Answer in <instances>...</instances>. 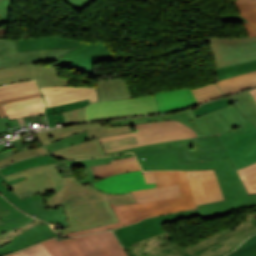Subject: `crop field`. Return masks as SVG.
<instances>
[{
    "instance_id": "8a807250",
    "label": "crop field",
    "mask_w": 256,
    "mask_h": 256,
    "mask_svg": "<svg viewBox=\"0 0 256 256\" xmlns=\"http://www.w3.org/2000/svg\"><path fill=\"white\" fill-rule=\"evenodd\" d=\"M143 170L215 169L225 200L199 205L198 209L161 215L113 230L131 256H223L256 233V214L182 249L163 225L199 215L208 219L226 212L256 205V194L248 195L230 159L180 164L178 151L136 156ZM144 158V160H142ZM136 243V245H135Z\"/></svg>"
},
{
    "instance_id": "ac0d7876",
    "label": "crop field",
    "mask_w": 256,
    "mask_h": 256,
    "mask_svg": "<svg viewBox=\"0 0 256 256\" xmlns=\"http://www.w3.org/2000/svg\"><path fill=\"white\" fill-rule=\"evenodd\" d=\"M57 165L60 163L35 166L4 178L6 181L22 176L27 179L9 185L20 198L37 193L43 196L55 190L56 195L46 197V207L56 208L58 204H64L70 227L55 229L61 234L118 222L108 201L116 205L135 202L130 192L107 194L89 184L83 186L75 176L63 178L55 167Z\"/></svg>"
},
{
    "instance_id": "34b2d1b8",
    "label": "crop field",
    "mask_w": 256,
    "mask_h": 256,
    "mask_svg": "<svg viewBox=\"0 0 256 256\" xmlns=\"http://www.w3.org/2000/svg\"><path fill=\"white\" fill-rule=\"evenodd\" d=\"M177 174L182 198L150 202L139 205L132 203L116 206L109 202L120 222L64 235L77 236L80 234L117 228L123 225L134 223L140 219L149 216L194 208L195 206L189 189L185 171H177Z\"/></svg>"
},
{
    "instance_id": "412701ff",
    "label": "crop field",
    "mask_w": 256,
    "mask_h": 256,
    "mask_svg": "<svg viewBox=\"0 0 256 256\" xmlns=\"http://www.w3.org/2000/svg\"><path fill=\"white\" fill-rule=\"evenodd\" d=\"M17 52L45 48H73L61 58L94 67L98 62L114 60L112 52L102 42L83 43L57 36L15 40Z\"/></svg>"
},
{
    "instance_id": "f4fd0767",
    "label": "crop field",
    "mask_w": 256,
    "mask_h": 256,
    "mask_svg": "<svg viewBox=\"0 0 256 256\" xmlns=\"http://www.w3.org/2000/svg\"><path fill=\"white\" fill-rule=\"evenodd\" d=\"M42 243L52 256H128L110 231Z\"/></svg>"
},
{
    "instance_id": "dd49c442",
    "label": "crop field",
    "mask_w": 256,
    "mask_h": 256,
    "mask_svg": "<svg viewBox=\"0 0 256 256\" xmlns=\"http://www.w3.org/2000/svg\"><path fill=\"white\" fill-rule=\"evenodd\" d=\"M84 130L87 131L90 139L99 138L106 135L121 134L134 131L132 125L109 127L108 122H103L95 124L73 125L68 127H62L59 129L35 133L42 147L15 153L7 158H4L0 160V167L8 165L22 158L38 154H49V151L45 148L46 145L66 135L77 133Z\"/></svg>"
},
{
    "instance_id": "e52e79f7",
    "label": "crop field",
    "mask_w": 256,
    "mask_h": 256,
    "mask_svg": "<svg viewBox=\"0 0 256 256\" xmlns=\"http://www.w3.org/2000/svg\"><path fill=\"white\" fill-rule=\"evenodd\" d=\"M133 126L135 132L106 136L100 138L99 141L102 142L106 140L136 135L139 143L107 150L105 152L137 147L150 143L179 140L196 136L195 132L192 129L175 120L136 124Z\"/></svg>"
},
{
    "instance_id": "d8731c3e",
    "label": "crop field",
    "mask_w": 256,
    "mask_h": 256,
    "mask_svg": "<svg viewBox=\"0 0 256 256\" xmlns=\"http://www.w3.org/2000/svg\"><path fill=\"white\" fill-rule=\"evenodd\" d=\"M153 96L96 102L86 108V121L157 114Z\"/></svg>"
},
{
    "instance_id": "5a996713",
    "label": "crop field",
    "mask_w": 256,
    "mask_h": 256,
    "mask_svg": "<svg viewBox=\"0 0 256 256\" xmlns=\"http://www.w3.org/2000/svg\"><path fill=\"white\" fill-rule=\"evenodd\" d=\"M205 41L210 44L216 68L256 59V37L206 38Z\"/></svg>"
},
{
    "instance_id": "3316defc",
    "label": "crop field",
    "mask_w": 256,
    "mask_h": 256,
    "mask_svg": "<svg viewBox=\"0 0 256 256\" xmlns=\"http://www.w3.org/2000/svg\"><path fill=\"white\" fill-rule=\"evenodd\" d=\"M218 135L219 134L217 133L216 135L195 137L193 138L192 145L164 148L155 147L133 152L135 155H139L151 152L179 150L181 163L229 158Z\"/></svg>"
},
{
    "instance_id": "28ad6ade",
    "label": "crop field",
    "mask_w": 256,
    "mask_h": 256,
    "mask_svg": "<svg viewBox=\"0 0 256 256\" xmlns=\"http://www.w3.org/2000/svg\"><path fill=\"white\" fill-rule=\"evenodd\" d=\"M236 170L256 162V128L250 123L220 136Z\"/></svg>"
},
{
    "instance_id": "d1516ede",
    "label": "crop field",
    "mask_w": 256,
    "mask_h": 256,
    "mask_svg": "<svg viewBox=\"0 0 256 256\" xmlns=\"http://www.w3.org/2000/svg\"><path fill=\"white\" fill-rule=\"evenodd\" d=\"M25 180L24 177L6 182L0 174V193L24 212L35 215L37 218L49 222L59 223L62 227L69 226L66 220L63 205H59L57 209L45 208V197L39 194L36 196L20 199L17 197L7 185Z\"/></svg>"
},
{
    "instance_id": "22f410ed",
    "label": "crop field",
    "mask_w": 256,
    "mask_h": 256,
    "mask_svg": "<svg viewBox=\"0 0 256 256\" xmlns=\"http://www.w3.org/2000/svg\"><path fill=\"white\" fill-rule=\"evenodd\" d=\"M55 236L48 224L34 220L0 235V256Z\"/></svg>"
},
{
    "instance_id": "cbeb9de0",
    "label": "crop field",
    "mask_w": 256,
    "mask_h": 256,
    "mask_svg": "<svg viewBox=\"0 0 256 256\" xmlns=\"http://www.w3.org/2000/svg\"><path fill=\"white\" fill-rule=\"evenodd\" d=\"M70 49H45L16 53L14 40L0 39V68L25 63L57 61Z\"/></svg>"
},
{
    "instance_id": "5142ce71",
    "label": "crop field",
    "mask_w": 256,
    "mask_h": 256,
    "mask_svg": "<svg viewBox=\"0 0 256 256\" xmlns=\"http://www.w3.org/2000/svg\"><path fill=\"white\" fill-rule=\"evenodd\" d=\"M134 156L132 153H125L121 155H115L105 158H97V159H86V160H62L63 163L66 166L74 165V166H84L88 176L84 177L80 181L83 185L96 181L89 166L107 163L109 160L117 159V158H124V157H131ZM62 161H56L53 156L49 155H42V156H36L28 159L21 160L17 163H14L8 167L0 168V172L3 174V176L10 174L12 172L22 170L28 167H32L35 165L40 164H46V163H53V162H62Z\"/></svg>"
},
{
    "instance_id": "d9b57169",
    "label": "crop field",
    "mask_w": 256,
    "mask_h": 256,
    "mask_svg": "<svg viewBox=\"0 0 256 256\" xmlns=\"http://www.w3.org/2000/svg\"><path fill=\"white\" fill-rule=\"evenodd\" d=\"M195 206L222 200L214 170L186 171Z\"/></svg>"
},
{
    "instance_id": "733c2abd",
    "label": "crop field",
    "mask_w": 256,
    "mask_h": 256,
    "mask_svg": "<svg viewBox=\"0 0 256 256\" xmlns=\"http://www.w3.org/2000/svg\"><path fill=\"white\" fill-rule=\"evenodd\" d=\"M47 108L65 103L89 99L90 103L97 101L96 87L60 86L40 88Z\"/></svg>"
},
{
    "instance_id": "4a817a6b",
    "label": "crop field",
    "mask_w": 256,
    "mask_h": 256,
    "mask_svg": "<svg viewBox=\"0 0 256 256\" xmlns=\"http://www.w3.org/2000/svg\"><path fill=\"white\" fill-rule=\"evenodd\" d=\"M91 185L107 193L122 194L132 190L154 187L156 183L146 184L141 171H132L105 177Z\"/></svg>"
},
{
    "instance_id": "bc2a9ffb",
    "label": "crop field",
    "mask_w": 256,
    "mask_h": 256,
    "mask_svg": "<svg viewBox=\"0 0 256 256\" xmlns=\"http://www.w3.org/2000/svg\"><path fill=\"white\" fill-rule=\"evenodd\" d=\"M155 98L161 113L197 105L189 88L158 92Z\"/></svg>"
},
{
    "instance_id": "214f88e0",
    "label": "crop field",
    "mask_w": 256,
    "mask_h": 256,
    "mask_svg": "<svg viewBox=\"0 0 256 256\" xmlns=\"http://www.w3.org/2000/svg\"><path fill=\"white\" fill-rule=\"evenodd\" d=\"M203 116L220 135L246 124L233 105Z\"/></svg>"
},
{
    "instance_id": "92a150f3",
    "label": "crop field",
    "mask_w": 256,
    "mask_h": 256,
    "mask_svg": "<svg viewBox=\"0 0 256 256\" xmlns=\"http://www.w3.org/2000/svg\"><path fill=\"white\" fill-rule=\"evenodd\" d=\"M41 95L35 81L0 87V117L6 116L1 104Z\"/></svg>"
},
{
    "instance_id": "dafd665d",
    "label": "crop field",
    "mask_w": 256,
    "mask_h": 256,
    "mask_svg": "<svg viewBox=\"0 0 256 256\" xmlns=\"http://www.w3.org/2000/svg\"><path fill=\"white\" fill-rule=\"evenodd\" d=\"M51 154L73 158H88L106 156L103 148L97 139L89 140L74 146L59 149Z\"/></svg>"
},
{
    "instance_id": "00972430",
    "label": "crop field",
    "mask_w": 256,
    "mask_h": 256,
    "mask_svg": "<svg viewBox=\"0 0 256 256\" xmlns=\"http://www.w3.org/2000/svg\"><path fill=\"white\" fill-rule=\"evenodd\" d=\"M98 101L131 98L124 78L97 82Z\"/></svg>"
},
{
    "instance_id": "a9b5d70f",
    "label": "crop field",
    "mask_w": 256,
    "mask_h": 256,
    "mask_svg": "<svg viewBox=\"0 0 256 256\" xmlns=\"http://www.w3.org/2000/svg\"><path fill=\"white\" fill-rule=\"evenodd\" d=\"M137 204L181 197L178 184L131 192Z\"/></svg>"
},
{
    "instance_id": "4177f3b9",
    "label": "crop field",
    "mask_w": 256,
    "mask_h": 256,
    "mask_svg": "<svg viewBox=\"0 0 256 256\" xmlns=\"http://www.w3.org/2000/svg\"><path fill=\"white\" fill-rule=\"evenodd\" d=\"M164 120L176 119L185 125L193 128L198 136L216 134L217 132L207 122V120L201 116L195 118L190 109L163 115Z\"/></svg>"
},
{
    "instance_id": "730fd06b",
    "label": "crop field",
    "mask_w": 256,
    "mask_h": 256,
    "mask_svg": "<svg viewBox=\"0 0 256 256\" xmlns=\"http://www.w3.org/2000/svg\"><path fill=\"white\" fill-rule=\"evenodd\" d=\"M95 177L103 178L119 172L141 170L135 157L113 160L111 163L92 166Z\"/></svg>"
},
{
    "instance_id": "eef30255",
    "label": "crop field",
    "mask_w": 256,
    "mask_h": 256,
    "mask_svg": "<svg viewBox=\"0 0 256 256\" xmlns=\"http://www.w3.org/2000/svg\"><path fill=\"white\" fill-rule=\"evenodd\" d=\"M223 96L256 86V71L239 75L216 83Z\"/></svg>"
},
{
    "instance_id": "ae1a2a85",
    "label": "crop field",
    "mask_w": 256,
    "mask_h": 256,
    "mask_svg": "<svg viewBox=\"0 0 256 256\" xmlns=\"http://www.w3.org/2000/svg\"><path fill=\"white\" fill-rule=\"evenodd\" d=\"M35 79V65L25 64L0 69V85Z\"/></svg>"
},
{
    "instance_id": "d3111659",
    "label": "crop field",
    "mask_w": 256,
    "mask_h": 256,
    "mask_svg": "<svg viewBox=\"0 0 256 256\" xmlns=\"http://www.w3.org/2000/svg\"><path fill=\"white\" fill-rule=\"evenodd\" d=\"M229 99L246 122H250L256 127V102L249 91L229 96ZM236 100L238 102L235 103Z\"/></svg>"
},
{
    "instance_id": "750c4746",
    "label": "crop field",
    "mask_w": 256,
    "mask_h": 256,
    "mask_svg": "<svg viewBox=\"0 0 256 256\" xmlns=\"http://www.w3.org/2000/svg\"><path fill=\"white\" fill-rule=\"evenodd\" d=\"M60 70L54 68V66L37 67L36 76L39 87L42 86H59L69 85V80L58 77Z\"/></svg>"
},
{
    "instance_id": "bd1437ed",
    "label": "crop field",
    "mask_w": 256,
    "mask_h": 256,
    "mask_svg": "<svg viewBox=\"0 0 256 256\" xmlns=\"http://www.w3.org/2000/svg\"><path fill=\"white\" fill-rule=\"evenodd\" d=\"M256 100V89L250 90ZM248 194L256 193V163L238 170Z\"/></svg>"
},
{
    "instance_id": "1d83c4d3",
    "label": "crop field",
    "mask_w": 256,
    "mask_h": 256,
    "mask_svg": "<svg viewBox=\"0 0 256 256\" xmlns=\"http://www.w3.org/2000/svg\"><path fill=\"white\" fill-rule=\"evenodd\" d=\"M254 70H256V60L239 65L216 69L215 71L218 76V79L222 80Z\"/></svg>"
},
{
    "instance_id": "120bbe31",
    "label": "crop field",
    "mask_w": 256,
    "mask_h": 256,
    "mask_svg": "<svg viewBox=\"0 0 256 256\" xmlns=\"http://www.w3.org/2000/svg\"><path fill=\"white\" fill-rule=\"evenodd\" d=\"M238 13L256 27V0H232Z\"/></svg>"
},
{
    "instance_id": "d32e631a",
    "label": "crop field",
    "mask_w": 256,
    "mask_h": 256,
    "mask_svg": "<svg viewBox=\"0 0 256 256\" xmlns=\"http://www.w3.org/2000/svg\"><path fill=\"white\" fill-rule=\"evenodd\" d=\"M87 104H89L88 100L81 101V102L70 103V104H65V105H61V106H57V107H52V108L46 109L45 110V115L47 117L49 126L50 127L55 126L54 119H53L51 113L56 112V116H57L59 122L61 121L62 125H64L65 123H64L62 111L70 110V109H74V108L84 107Z\"/></svg>"
},
{
    "instance_id": "5866460e",
    "label": "crop field",
    "mask_w": 256,
    "mask_h": 256,
    "mask_svg": "<svg viewBox=\"0 0 256 256\" xmlns=\"http://www.w3.org/2000/svg\"><path fill=\"white\" fill-rule=\"evenodd\" d=\"M191 91L194 94L198 104L215 99V98L222 97L215 83L207 86H203L200 88L192 89Z\"/></svg>"
},
{
    "instance_id": "028f5c9d",
    "label": "crop field",
    "mask_w": 256,
    "mask_h": 256,
    "mask_svg": "<svg viewBox=\"0 0 256 256\" xmlns=\"http://www.w3.org/2000/svg\"><path fill=\"white\" fill-rule=\"evenodd\" d=\"M86 140H89V137H88L86 131H84V132H80L77 134L69 135L67 137H64V138L56 141V142H53L47 146V149L51 152L56 149L74 145V144H77V143H80V142H83Z\"/></svg>"
},
{
    "instance_id": "e1f06a70",
    "label": "crop field",
    "mask_w": 256,
    "mask_h": 256,
    "mask_svg": "<svg viewBox=\"0 0 256 256\" xmlns=\"http://www.w3.org/2000/svg\"><path fill=\"white\" fill-rule=\"evenodd\" d=\"M256 253V234L249 237L240 247L227 256H250Z\"/></svg>"
},
{
    "instance_id": "0bd39190",
    "label": "crop field",
    "mask_w": 256,
    "mask_h": 256,
    "mask_svg": "<svg viewBox=\"0 0 256 256\" xmlns=\"http://www.w3.org/2000/svg\"><path fill=\"white\" fill-rule=\"evenodd\" d=\"M228 105H231V102L229 101L228 97H226L210 103L203 104L199 109L193 110V112L196 115V117H198L202 114L213 112L219 108H222Z\"/></svg>"
},
{
    "instance_id": "b80d0937",
    "label": "crop field",
    "mask_w": 256,
    "mask_h": 256,
    "mask_svg": "<svg viewBox=\"0 0 256 256\" xmlns=\"http://www.w3.org/2000/svg\"><path fill=\"white\" fill-rule=\"evenodd\" d=\"M44 107H45V104L7 111L6 114L9 117V119L31 116V115H38L43 113Z\"/></svg>"
},
{
    "instance_id": "c035e120",
    "label": "crop field",
    "mask_w": 256,
    "mask_h": 256,
    "mask_svg": "<svg viewBox=\"0 0 256 256\" xmlns=\"http://www.w3.org/2000/svg\"><path fill=\"white\" fill-rule=\"evenodd\" d=\"M13 256H51L42 243L12 253Z\"/></svg>"
},
{
    "instance_id": "c21b1889",
    "label": "crop field",
    "mask_w": 256,
    "mask_h": 256,
    "mask_svg": "<svg viewBox=\"0 0 256 256\" xmlns=\"http://www.w3.org/2000/svg\"><path fill=\"white\" fill-rule=\"evenodd\" d=\"M157 186L178 183L176 171L154 172Z\"/></svg>"
},
{
    "instance_id": "03da06ac",
    "label": "crop field",
    "mask_w": 256,
    "mask_h": 256,
    "mask_svg": "<svg viewBox=\"0 0 256 256\" xmlns=\"http://www.w3.org/2000/svg\"><path fill=\"white\" fill-rule=\"evenodd\" d=\"M191 142H192V138L185 139V140H179V141L150 144V145H145V146H141V147H137V148H131V149L110 152V153H107V155L122 153V152H126V151H133V150H138V149H144V148H150V147H155V146L164 147V146L186 145V144H191Z\"/></svg>"
},
{
    "instance_id": "b54c1fbb",
    "label": "crop field",
    "mask_w": 256,
    "mask_h": 256,
    "mask_svg": "<svg viewBox=\"0 0 256 256\" xmlns=\"http://www.w3.org/2000/svg\"><path fill=\"white\" fill-rule=\"evenodd\" d=\"M44 101L42 99V96L32 98V99H27L23 101H18V102H13L9 104H4L2 105L4 110H12V109H17V108H22V107H27V106H32V105H38V104H43Z\"/></svg>"
},
{
    "instance_id": "5d738f31",
    "label": "crop field",
    "mask_w": 256,
    "mask_h": 256,
    "mask_svg": "<svg viewBox=\"0 0 256 256\" xmlns=\"http://www.w3.org/2000/svg\"><path fill=\"white\" fill-rule=\"evenodd\" d=\"M66 124L84 122V108L63 112Z\"/></svg>"
},
{
    "instance_id": "d23c7cc5",
    "label": "crop field",
    "mask_w": 256,
    "mask_h": 256,
    "mask_svg": "<svg viewBox=\"0 0 256 256\" xmlns=\"http://www.w3.org/2000/svg\"><path fill=\"white\" fill-rule=\"evenodd\" d=\"M138 142L136 137H127V138H122V139H116V140H111L107 142H102L101 145L103 146L104 150L119 147V146H124L132 143Z\"/></svg>"
},
{
    "instance_id": "425ffa30",
    "label": "crop field",
    "mask_w": 256,
    "mask_h": 256,
    "mask_svg": "<svg viewBox=\"0 0 256 256\" xmlns=\"http://www.w3.org/2000/svg\"><path fill=\"white\" fill-rule=\"evenodd\" d=\"M161 116H152V117H143V118H135V119H125V120H118V121H109L110 126L113 125H121V124H136V123H143V122H151V121H160Z\"/></svg>"
},
{
    "instance_id": "25e5ab78",
    "label": "crop field",
    "mask_w": 256,
    "mask_h": 256,
    "mask_svg": "<svg viewBox=\"0 0 256 256\" xmlns=\"http://www.w3.org/2000/svg\"><path fill=\"white\" fill-rule=\"evenodd\" d=\"M0 203L2 204V206L4 208H6L8 211H10L12 213L8 216H5V217L1 218V220L3 222L9 221V220H12V219H16V218H20V217H23V216H27V215L21 213L20 211H18L17 209H15L14 206L11 205L10 203H8L1 195H0Z\"/></svg>"
},
{
    "instance_id": "73cf0c24",
    "label": "crop field",
    "mask_w": 256,
    "mask_h": 256,
    "mask_svg": "<svg viewBox=\"0 0 256 256\" xmlns=\"http://www.w3.org/2000/svg\"><path fill=\"white\" fill-rule=\"evenodd\" d=\"M12 1L13 0H0V26L9 22Z\"/></svg>"
},
{
    "instance_id": "89e229c0",
    "label": "crop field",
    "mask_w": 256,
    "mask_h": 256,
    "mask_svg": "<svg viewBox=\"0 0 256 256\" xmlns=\"http://www.w3.org/2000/svg\"><path fill=\"white\" fill-rule=\"evenodd\" d=\"M32 220H34V218L27 216V217H23L20 219L2 223V224H0V234H1V232L5 231V230H8L12 227L24 224V223L32 221Z\"/></svg>"
},
{
    "instance_id": "1f2cbd36",
    "label": "crop field",
    "mask_w": 256,
    "mask_h": 256,
    "mask_svg": "<svg viewBox=\"0 0 256 256\" xmlns=\"http://www.w3.org/2000/svg\"><path fill=\"white\" fill-rule=\"evenodd\" d=\"M64 1H66L68 4H70L71 6L81 11L90 3H92L94 0H64Z\"/></svg>"
},
{
    "instance_id": "dbb93151",
    "label": "crop field",
    "mask_w": 256,
    "mask_h": 256,
    "mask_svg": "<svg viewBox=\"0 0 256 256\" xmlns=\"http://www.w3.org/2000/svg\"><path fill=\"white\" fill-rule=\"evenodd\" d=\"M221 20L224 22H246L238 15H223L220 16Z\"/></svg>"
},
{
    "instance_id": "0fb4a251",
    "label": "crop field",
    "mask_w": 256,
    "mask_h": 256,
    "mask_svg": "<svg viewBox=\"0 0 256 256\" xmlns=\"http://www.w3.org/2000/svg\"><path fill=\"white\" fill-rule=\"evenodd\" d=\"M246 32H247V37H252L256 36V29L249 23H242Z\"/></svg>"
},
{
    "instance_id": "1d79db26",
    "label": "crop field",
    "mask_w": 256,
    "mask_h": 256,
    "mask_svg": "<svg viewBox=\"0 0 256 256\" xmlns=\"http://www.w3.org/2000/svg\"><path fill=\"white\" fill-rule=\"evenodd\" d=\"M143 175L147 183L156 182L153 172H143Z\"/></svg>"
},
{
    "instance_id": "9d1cf04e",
    "label": "crop field",
    "mask_w": 256,
    "mask_h": 256,
    "mask_svg": "<svg viewBox=\"0 0 256 256\" xmlns=\"http://www.w3.org/2000/svg\"><path fill=\"white\" fill-rule=\"evenodd\" d=\"M59 61H60V62H65V63H69V64L78 65V66H80V67H83V68H85V69H88V70H91V71L94 72L93 68L88 67V66H86V65H83V64H81V63H77V62H73V61H69V60H65V59H61V60H59Z\"/></svg>"
},
{
    "instance_id": "447ae74e",
    "label": "crop field",
    "mask_w": 256,
    "mask_h": 256,
    "mask_svg": "<svg viewBox=\"0 0 256 256\" xmlns=\"http://www.w3.org/2000/svg\"><path fill=\"white\" fill-rule=\"evenodd\" d=\"M56 65H59V66H70V67H75V68H77V69H79V70H81V71H83V72H85V73H87V74H90V75H92V76H94V77H95V75H94V73H93V72L88 71V70H85V69L80 68V67H78V66L68 65V64H64V63H60V62H57V63H56ZM75 68H74V69H75Z\"/></svg>"
},
{
    "instance_id": "0765c3eb",
    "label": "crop field",
    "mask_w": 256,
    "mask_h": 256,
    "mask_svg": "<svg viewBox=\"0 0 256 256\" xmlns=\"http://www.w3.org/2000/svg\"><path fill=\"white\" fill-rule=\"evenodd\" d=\"M16 151H15V149L13 148V149H10V150H7V151H4V152H1L0 153V159L1 158H4V157H6V156H9V155H11V154H13V153H15Z\"/></svg>"
},
{
    "instance_id": "db79e9e6",
    "label": "crop field",
    "mask_w": 256,
    "mask_h": 256,
    "mask_svg": "<svg viewBox=\"0 0 256 256\" xmlns=\"http://www.w3.org/2000/svg\"><path fill=\"white\" fill-rule=\"evenodd\" d=\"M8 214H10V212H8L6 209H4L0 204V217H3Z\"/></svg>"
},
{
    "instance_id": "7b73153f",
    "label": "crop field",
    "mask_w": 256,
    "mask_h": 256,
    "mask_svg": "<svg viewBox=\"0 0 256 256\" xmlns=\"http://www.w3.org/2000/svg\"><path fill=\"white\" fill-rule=\"evenodd\" d=\"M6 131H7V129L4 125V123L2 122L1 118H0V133L6 132Z\"/></svg>"
},
{
    "instance_id": "78b8030e",
    "label": "crop field",
    "mask_w": 256,
    "mask_h": 256,
    "mask_svg": "<svg viewBox=\"0 0 256 256\" xmlns=\"http://www.w3.org/2000/svg\"><path fill=\"white\" fill-rule=\"evenodd\" d=\"M64 177L66 176H70V175H74L73 172H64V173H61Z\"/></svg>"
},
{
    "instance_id": "0f1d7ab4",
    "label": "crop field",
    "mask_w": 256,
    "mask_h": 256,
    "mask_svg": "<svg viewBox=\"0 0 256 256\" xmlns=\"http://www.w3.org/2000/svg\"><path fill=\"white\" fill-rule=\"evenodd\" d=\"M7 150V148L3 145V143L0 144V152Z\"/></svg>"
},
{
    "instance_id": "e1d0b9f6",
    "label": "crop field",
    "mask_w": 256,
    "mask_h": 256,
    "mask_svg": "<svg viewBox=\"0 0 256 256\" xmlns=\"http://www.w3.org/2000/svg\"><path fill=\"white\" fill-rule=\"evenodd\" d=\"M5 256H12V254H9V255H5Z\"/></svg>"
},
{
    "instance_id": "ae633e8c",
    "label": "crop field",
    "mask_w": 256,
    "mask_h": 256,
    "mask_svg": "<svg viewBox=\"0 0 256 256\" xmlns=\"http://www.w3.org/2000/svg\"><path fill=\"white\" fill-rule=\"evenodd\" d=\"M252 256H256V254L252 255Z\"/></svg>"
},
{
    "instance_id": "d14b1444",
    "label": "crop field",
    "mask_w": 256,
    "mask_h": 256,
    "mask_svg": "<svg viewBox=\"0 0 256 256\" xmlns=\"http://www.w3.org/2000/svg\"><path fill=\"white\" fill-rule=\"evenodd\" d=\"M0 223H2V221L0 220Z\"/></svg>"
}]
</instances>
